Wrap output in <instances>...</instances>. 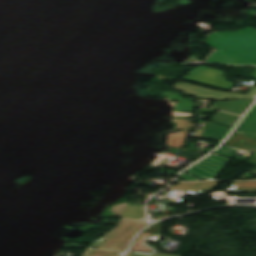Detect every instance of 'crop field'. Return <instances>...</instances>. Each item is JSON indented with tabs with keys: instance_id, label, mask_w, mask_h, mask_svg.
Here are the masks:
<instances>
[{
	"instance_id": "obj_5",
	"label": "crop field",
	"mask_w": 256,
	"mask_h": 256,
	"mask_svg": "<svg viewBox=\"0 0 256 256\" xmlns=\"http://www.w3.org/2000/svg\"><path fill=\"white\" fill-rule=\"evenodd\" d=\"M250 100H237V101H221L214 102L210 108L227 111L235 114L242 115L247 107L251 104Z\"/></svg>"
},
{
	"instance_id": "obj_8",
	"label": "crop field",
	"mask_w": 256,
	"mask_h": 256,
	"mask_svg": "<svg viewBox=\"0 0 256 256\" xmlns=\"http://www.w3.org/2000/svg\"><path fill=\"white\" fill-rule=\"evenodd\" d=\"M229 128L210 123L200 137L223 140Z\"/></svg>"
},
{
	"instance_id": "obj_1",
	"label": "crop field",
	"mask_w": 256,
	"mask_h": 256,
	"mask_svg": "<svg viewBox=\"0 0 256 256\" xmlns=\"http://www.w3.org/2000/svg\"><path fill=\"white\" fill-rule=\"evenodd\" d=\"M205 43L217 49L206 61L208 63L256 65V29L254 28L212 34Z\"/></svg>"
},
{
	"instance_id": "obj_15",
	"label": "crop field",
	"mask_w": 256,
	"mask_h": 256,
	"mask_svg": "<svg viewBox=\"0 0 256 256\" xmlns=\"http://www.w3.org/2000/svg\"><path fill=\"white\" fill-rule=\"evenodd\" d=\"M252 77H253V78H256V69H255V71H254Z\"/></svg>"
},
{
	"instance_id": "obj_13",
	"label": "crop field",
	"mask_w": 256,
	"mask_h": 256,
	"mask_svg": "<svg viewBox=\"0 0 256 256\" xmlns=\"http://www.w3.org/2000/svg\"><path fill=\"white\" fill-rule=\"evenodd\" d=\"M127 256H181V255H171V254H145V253H134L128 252Z\"/></svg>"
},
{
	"instance_id": "obj_2",
	"label": "crop field",
	"mask_w": 256,
	"mask_h": 256,
	"mask_svg": "<svg viewBox=\"0 0 256 256\" xmlns=\"http://www.w3.org/2000/svg\"><path fill=\"white\" fill-rule=\"evenodd\" d=\"M150 223L122 219L104 238L98 241L93 247L124 251L128 242L132 239L135 232L142 226Z\"/></svg>"
},
{
	"instance_id": "obj_11",
	"label": "crop field",
	"mask_w": 256,
	"mask_h": 256,
	"mask_svg": "<svg viewBox=\"0 0 256 256\" xmlns=\"http://www.w3.org/2000/svg\"><path fill=\"white\" fill-rule=\"evenodd\" d=\"M250 189H256V181L253 182H234L233 191H246Z\"/></svg>"
},
{
	"instance_id": "obj_3",
	"label": "crop field",
	"mask_w": 256,
	"mask_h": 256,
	"mask_svg": "<svg viewBox=\"0 0 256 256\" xmlns=\"http://www.w3.org/2000/svg\"><path fill=\"white\" fill-rule=\"evenodd\" d=\"M224 73L225 71L200 66L188 73L187 76L182 77V79L210 88L229 90L234 83L225 81V78L222 77Z\"/></svg>"
},
{
	"instance_id": "obj_12",
	"label": "crop field",
	"mask_w": 256,
	"mask_h": 256,
	"mask_svg": "<svg viewBox=\"0 0 256 256\" xmlns=\"http://www.w3.org/2000/svg\"><path fill=\"white\" fill-rule=\"evenodd\" d=\"M121 255H122V253H120V252L90 249V250H88L86 256H121Z\"/></svg>"
},
{
	"instance_id": "obj_6",
	"label": "crop field",
	"mask_w": 256,
	"mask_h": 256,
	"mask_svg": "<svg viewBox=\"0 0 256 256\" xmlns=\"http://www.w3.org/2000/svg\"><path fill=\"white\" fill-rule=\"evenodd\" d=\"M235 132L256 135V105Z\"/></svg>"
},
{
	"instance_id": "obj_9",
	"label": "crop field",
	"mask_w": 256,
	"mask_h": 256,
	"mask_svg": "<svg viewBox=\"0 0 256 256\" xmlns=\"http://www.w3.org/2000/svg\"><path fill=\"white\" fill-rule=\"evenodd\" d=\"M239 118L237 115L218 111L209 121L232 127Z\"/></svg>"
},
{
	"instance_id": "obj_10",
	"label": "crop field",
	"mask_w": 256,
	"mask_h": 256,
	"mask_svg": "<svg viewBox=\"0 0 256 256\" xmlns=\"http://www.w3.org/2000/svg\"><path fill=\"white\" fill-rule=\"evenodd\" d=\"M122 217L144 219L143 205L129 204Z\"/></svg>"
},
{
	"instance_id": "obj_14",
	"label": "crop field",
	"mask_w": 256,
	"mask_h": 256,
	"mask_svg": "<svg viewBox=\"0 0 256 256\" xmlns=\"http://www.w3.org/2000/svg\"><path fill=\"white\" fill-rule=\"evenodd\" d=\"M249 171L252 172V173H254V174H256V167L253 168V169H251V170H249Z\"/></svg>"
},
{
	"instance_id": "obj_7",
	"label": "crop field",
	"mask_w": 256,
	"mask_h": 256,
	"mask_svg": "<svg viewBox=\"0 0 256 256\" xmlns=\"http://www.w3.org/2000/svg\"><path fill=\"white\" fill-rule=\"evenodd\" d=\"M217 185V182H197V183H179L169 188L178 190H192L199 193L201 190L211 191Z\"/></svg>"
},
{
	"instance_id": "obj_4",
	"label": "crop field",
	"mask_w": 256,
	"mask_h": 256,
	"mask_svg": "<svg viewBox=\"0 0 256 256\" xmlns=\"http://www.w3.org/2000/svg\"><path fill=\"white\" fill-rule=\"evenodd\" d=\"M227 160L228 159L211 154L186 172L201 180L214 179ZM185 173L178 178L184 181L197 180Z\"/></svg>"
}]
</instances>
